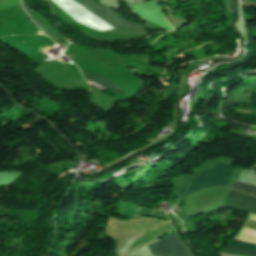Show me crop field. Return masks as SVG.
<instances>
[{
    "mask_svg": "<svg viewBox=\"0 0 256 256\" xmlns=\"http://www.w3.org/2000/svg\"><path fill=\"white\" fill-rule=\"evenodd\" d=\"M228 251H234V252H240V253H245V254H251V255H256V252L253 251H245V250H239V249H234V248H227Z\"/></svg>",
    "mask_w": 256,
    "mask_h": 256,
    "instance_id": "7",
    "label": "crop field"
},
{
    "mask_svg": "<svg viewBox=\"0 0 256 256\" xmlns=\"http://www.w3.org/2000/svg\"><path fill=\"white\" fill-rule=\"evenodd\" d=\"M148 248L153 256H191L175 232L164 240L148 245Z\"/></svg>",
    "mask_w": 256,
    "mask_h": 256,
    "instance_id": "2",
    "label": "crop field"
},
{
    "mask_svg": "<svg viewBox=\"0 0 256 256\" xmlns=\"http://www.w3.org/2000/svg\"><path fill=\"white\" fill-rule=\"evenodd\" d=\"M82 72H83L85 77L97 82L98 84H100V85H102L106 88H109V89H111V90H113L117 93H120V94L124 95L121 88L118 85H116L115 83L111 82L110 80H108V79H106V78H104V77H102L98 74L85 72V71H82Z\"/></svg>",
    "mask_w": 256,
    "mask_h": 256,
    "instance_id": "4",
    "label": "crop field"
},
{
    "mask_svg": "<svg viewBox=\"0 0 256 256\" xmlns=\"http://www.w3.org/2000/svg\"><path fill=\"white\" fill-rule=\"evenodd\" d=\"M25 9L27 10L28 14L30 15V17L33 19V21L40 27V29L42 31H45L46 33H48L49 35H51L54 39L56 40H61L60 38H58L56 35H54L52 32H50L48 29H46L41 23L40 21L28 10V8L25 6V4H22Z\"/></svg>",
    "mask_w": 256,
    "mask_h": 256,
    "instance_id": "6",
    "label": "crop field"
},
{
    "mask_svg": "<svg viewBox=\"0 0 256 256\" xmlns=\"http://www.w3.org/2000/svg\"><path fill=\"white\" fill-rule=\"evenodd\" d=\"M232 189L256 196V187L240 182H234Z\"/></svg>",
    "mask_w": 256,
    "mask_h": 256,
    "instance_id": "5",
    "label": "crop field"
},
{
    "mask_svg": "<svg viewBox=\"0 0 256 256\" xmlns=\"http://www.w3.org/2000/svg\"><path fill=\"white\" fill-rule=\"evenodd\" d=\"M223 207L256 214V197L231 189Z\"/></svg>",
    "mask_w": 256,
    "mask_h": 256,
    "instance_id": "3",
    "label": "crop field"
},
{
    "mask_svg": "<svg viewBox=\"0 0 256 256\" xmlns=\"http://www.w3.org/2000/svg\"><path fill=\"white\" fill-rule=\"evenodd\" d=\"M57 6H59L64 12L73 17L76 21L83 23L89 27H92L97 30H110L119 28H129L133 30H138L140 32H146L143 26L123 20L118 14L113 12L110 9H105L98 6L94 0H76L85 7L89 8L93 12L97 13L100 16L96 15L89 9L85 8L81 4L77 3L74 0H52Z\"/></svg>",
    "mask_w": 256,
    "mask_h": 256,
    "instance_id": "1",
    "label": "crop field"
}]
</instances>
